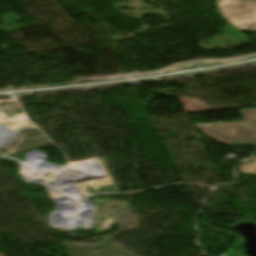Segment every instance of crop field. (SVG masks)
I'll use <instances>...</instances> for the list:
<instances>
[{"mask_svg":"<svg viewBox=\"0 0 256 256\" xmlns=\"http://www.w3.org/2000/svg\"><path fill=\"white\" fill-rule=\"evenodd\" d=\"M216 5L239 31L256 32V0H216Z\"/></svg>","mask_w":256,"mask_h":256,"instance_id":"ac0d7876","label":"crop field"},{"mask_svg":"<svg viewBox=\"0 0 256 256\" xmlns=\"http://www.w3.org/2000/svg\"><path fill=\"white\" fill-rule=\"evenodd\" d=\"M243 122L196 124L205 136L222 144L256 146V109H241Z\"/></svg>","mask_w":256,"mask_h":256,"instance_id":"8a807250","label":"crop field"},{"mask_svg":"<svg viewBox=\"0 0 256 256\" xmlns=\"http://www.w3.org/2000/svg\"><path fill=\"white\" fill-rule=\"evenodd\" d=\"M238 168L241 173H251L256 170V159L252 163L240 165Z\"/></svg>","mask_w":256,"mask_h":256,"instance_id":"f4fd0767","label":"crop field"},{"mask_svg":"<svg viewBox=\"0 0 256 256\" xmlns=\"http://www.w3.org/2000/svg\"><path fill=\"white\" fill-rule=\"evenodd\" d=\"M4 19H1L2 21H4L6 24L0 28L1 32L7 33L16 29H20L23 28V26L15 23L16 21L22 19L20 17H18L17 15L10 13L6 16L3 17Z\"/></svg>","mask_w":256,"mask_h":256,"instance_id":"34b2d1b8","label":"crop field"},{"mask_svg":"<svg viewBox=\"0 0 256 256\" xmlns=\"http://www.w3.org/2000/svg\"><path fill=\"white\" fill-rule=\"evenodd\" d=\"M224 34L226 37H228L230 40H232L235 43L243 44L248 42L243 36H241L235 29H233L230 25L226 26Z\"/></svg>","mask_w":256,"mask_h":256,"instance_id":"412701ff","label":"crop field"}]
</instances>
